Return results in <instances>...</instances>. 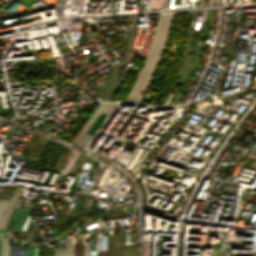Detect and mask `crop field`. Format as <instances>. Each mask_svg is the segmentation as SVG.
I'll return each mask as SVG.
<instances>
[{
    "label": "crop field",
    "mask_w": 256,
    "mask_h": 256,
    "mask_svg": "<svg viewBox=\"0 0 256 256\" xmlns=\"http://www.w3.org/2000/svg\"><path fill=\"white\" fill-rule=\"evenodd\" d=\"M173 15H163L159 14V18L156 23L154 37L152 43L149 47L147 55L145 57L146 61L142 71L139 72L137 76V81L135 82L129 97L125 102L138 103L141 95H138L139 88L146 89L148 82L153 74V71L159 61L160 55L163 51V47L169 33L170 22Z\"/></svg>",
    "instance_id": "crop-field-1"
},
{
    "label": "crop field",
    "mask_w": 256,
    "mask_h": 256,
    "mask_svg": "<svg viewBox=\"0 0 256 256\" xmlns=\"http://www.w3.org/2000/svg\"><path fill=\"white\" fill-rule=\"evenodd\" d=\"M138 16H135L134 18V23H133V27L131 30V35L129 38V42L126 46V50L124 53V57L122 59H119L120 61L116 62L112 71H111V76L114 77H120L122 72L119 71L121 65L125 64L126 62H128L130 59H132L134 52L133 50L129 47L131 40L133 38V34H134V30H135V24H136V20H137ZM114 77H108V79L106 80L105 84H103L101 91L99 92V94L97 95L98 97H100L103 101H108L109 98L111 97V95L113 94V92L115 91L116 87L118 86V84L120 83L121 79H117Z\"/></svg>",
    "instance_id": "crop-field-2"
},
{
    "label": "crop field",
    "mask_w": 256,
    "mask_h": 256,
    "mask_svg": "<svg viewBox=\"0 0 256 256\" xmlns=\"http://www.w3.org/2000/svg\"><path fill=\"white\" fill-rule=\"evenodd\" d=\"M115 105L116 103L100 104L95 113L92 115L91 119L87 121L79 135L75 138V140L72 143L80 145L82 147L87 146V144L90 142L92 138L91 135L85 134L87 130L90 128V126L93 124V122L96 120V118L99 116L101 112L110 114Z\"/></svg>",
    "instance_id": "crop-field-3"
},
{
    "label": "crop field",
    "mask_w": 256,
    "mask_h": 256,
    "mask_svg": "<svg viewBox=\"0 0 256 256\" xmlns=\"http://www.w3.org/2000/svg\"><path fill=\"white\" fill-rule=\"evenodd\" d=\"M20 194H21L20 192L15 191L14 195L10 199L9 203H8V200H0V217H1V215H2L6 205L8 203V205H7V207H6L5 211H4L5 214H3L1 219H0V229H4L6 221L9 218V216H10V214H11V212H12V210H13L16 202H17V199L20 196Z\"/></svg>",
    "instance_id": "crop-field-4"
},
{
    "label": "crop field",
    "mask_w": 256,
    "mask_h": 256,
    "mask_svg": "<svg viewBox=\"0 0 256 256\" xmlns=\"http://www.w3.org/2000/svg\"><path fill=\"white\" fill-rule=\"evenodd\" d=\"M71 240H65V249H55L54 256H73L70 252ZM90 253V237L84 238V256H89Z\"/></svg>",
    "instance_id": "crop-field-5"
},
{
    "label": "crop field",
    "mask_w": 256,
    "mask_h": 256,
    "mask_svg": "<svg viewBox=\"0 0 256 256\" xmlns=\"http://www.w3.org/2000/svg\"><path fill=\"white\" fill-rule=\"evenodd\" d=\"M10 245L7 240L1 239L0 256H9Z\"/></svg>",
    "instance_id": "crop-field-6"
},
{
    "label": "crop field",
    "mask_w": 256,
    "mask_h": 256,
    "mask_svg": "<svg viewBox=\"0 0 256 256\" xmlns=\"http://www.w3.org/2000/svg\"><path fill=\"white\" fill-rule=\"evenodd\" d=\"M202 2H203V0H200L199 7H202ZM219 3H220V0H208L207 6L219 5Z\"/></svg>",
    "instance_id": "crop-field-7"
}]
</instances>
